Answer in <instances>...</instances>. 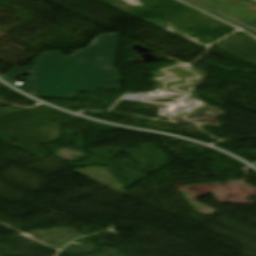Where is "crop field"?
Segmentation results:
<instances>
[{
    "label": "crop field",
    "instance_id": "obj_2",
    "mask_svg": "<svg viewBox=\"0 0 256 256\" xmlns=\"http://www.w3.org/2000/svg\"><path fill=\"white\" fill-rule=\"evenodd\" d=\"M249 27L256 25V2L253 0H196Z\"/></svg>",
    "mask_w": 256,
    "mask_h": 256
},
{
    "label": "crop field",
    "instance_id": "obj_1",
    "mask_svg": "<svg viewBox=\"0 0 256 256\" xmlns=\"http://www.w3.org/2000/svg\"><path fill=\"white\" fill-rule=\"evenodd\" d=\"M118 33L98 35L88 47L62 57L57 51L40 54L36 66L13 69L6 78L29 75L24 85L39 96L75 99L81 92L121 88L120 77L114 68Z\"/></svg>",
    "mask_w": 256,
    "mask_h": 256
}]
</instances>
